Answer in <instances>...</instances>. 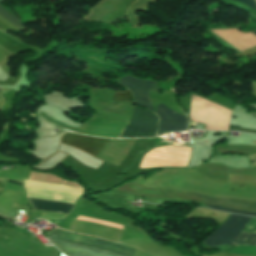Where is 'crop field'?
Wrapping results in <instances>:
<instances>
[{"mask_svg":"<svg viewBox=\"0 0 256 256\" xmlns=\"http://www.w3.org/2000/svg\"><path fill=\"white\" fill-rule=\"evenodd\" d=\"M51 240L72 256H133L134 249L105 240L54 231Z\"/></svg>","mask_w":256,"mask_h":256,"instance_id":"8a807250","label":"crop field"},{"mask_svg":"<svg viewBox=\"0 0 256 256\" xmlns=\"http://www.w3.org/2000/svg\"><path fill=\"white\" fill-rule=\"evenodd\" d=\"M231 111L192 95L190 120L206 124L208 130H228Z\"/></svg>","mask_w":256,"mask_h":256,"instance_id":"ac0d7876","label":"crop field"},{"mask_svg":"<svg viewBox=\"0 0 256 256\" xmlns=\"http://www.w3.org/2000/svg\"><path fill=\"white\" fill-rule=\"evenodd\" d=\"M157 121V116L152 112L135 105L131 121L119 138L155 136Z\"/></svg>","mask_w":256,"mask_h":256,"instance_id":"34b2d1b8","label":"crop field"},{"mask_svg":"<svg viewBox=\"0 0 256 256\" xmlns=\"http://www.w3.org/2000/svg\"><path fill=\"white\" fill-rule=\"evenodd\" d=\"M251 217L231 214L230 218L204 242L210 246L236 244L237 236Z\"/></svg>","mask_w":256,"mask_h":256,"instance_id":"412701ff","label":"crop field"},{"mask_svg":"<svg viewBox=\"0 0 256 256\" xmlns=\"http://www.w3.org/2000/svg\"><path fill=\"white\" fill-rule=\"evenodd\" d=\"M156 115L159 116L157 135L161 136L174 131H186V116H181L163 104L156 106Z\"/></svg>","mask_w":256,"mask_h":256,"instance_id":"f4fd0767","label":"crop field"},{"mask_svg":"<svg viewBox=\"0 0 256 256\" xmlns=\"http://www.w3.org/2000/svg\"><path fill=\"white\" fill-rule=\"evenodd\" d=\"M120 84L129 88L134 96L135 103L154 111L149 98V90H157L155 81L126 76L120 78Z\"/></svg>","mask_w":256,"mask_h":256,"instance_id":"dd49c442","label":"crop field"},{"mask_svg":"<svg viewBox=\"0 0 256 256\" xmlns=\"http://www.w3.org/2000/svg\"><path fill=\"white\" fill-rule=\"evenodd\" d=\"M109 139L87 137L79 134L67 133L61 138L62 143L69 144L94 157L100 152Z\"/></svg>","mask_w":256,"mask_h":256,"instance_id":"e52e79f7","label":"crop field"},{"mask_svg":"<svg viewBox=\"0 0 256 256\" xmlns=\"http://www.w3.org/2000/svg\"><path fill=\"white\" fill-rule=\"evenodd\" d=\"M219 37L237 48L240 52L256 45V32L241 33L235 29H217L211 30Z\"/></svg>","mask_w":256,"mask_h":256,"instance_id":"d8731c3e","label":"crop field"},{"mask_svg":"<svg viewBox=\"0 0 256 256\" xmlns=\"http://www.w3.org/2000/svg\"><path fill=\"white\" fill-rule=\"evenodd\" d=\"M186 193L189 195L205 198L204 202L208 203V204L256 212V202L255 201L240 200V199L214 198V197L205 196L202 194H197V193H192V192H186Z\"/></svg>","mask_w":256,"mask_h":256,"instance_id":"5a996713","label":"crop field"},{"mask_svg":"<svg viewBox=\"0 0 256 256\" xmlns=\"http://www.w3.org/2000/svg\"><path fill=\"white\" fill-rule=\"evenodd\" d=\"M20 192L3 191L0 195V214L13 219L17 216L18 211L10 210L13 202L20 196Z\"/></svg>","mask_w":256,"mask_h":256,"instance_id":"3316defc","label":"crop field"},{"mask_svg":"<svg viewBox=\"0 0 256 256\" xmlns=\"http://www.w3.org/2000/svg\"><path fill=\"white\" fill-rule=\"evenodd\" d=\"M28 200L34 209L65 212V213H69L73 205L70 203L54 202V201L31 199V198H28Z\"/></svg>","mask_w":256,"mask_h":256,"instance_id":"28ad6ade","label":"crop field"},{"mask_svg":"<svg viewBox=\"0 0 256 256\" xmlns=\"http://www.w3.org/2000/svg\"><path fill=\"white\" fill-rule=\"evenodd\" d=\"M134 1L135 0H120L108 14L96 21L113 22L118 18H123L127 8Z\"/></svg>","mask_w":256,"mask_h":256,"instance_id":"d1516ede","label":"crop field"},{"mask_svg":"<svg viewBox=\"0 0 256 256\" xmlns=\"http://www.w3.org/2000/svg\"><path fill=\"white\" fill-rule=\"evenodd\" d=\"M0 16L2 18H4L5 20H7L8 22H10L12 25H14L15 27L21 29L24 28L23 25L20 23V21L18 19H16L14 16H12L11 14H9L8 12H6L4 9H2L0 7Z\"/></svg>","mask_w":256,"mask_h":256,"instance_id":"22f410ed","label":"crop field"},{"mask_svg":"<svg viewBox=\"0 0 256 256\" xmlns=\"http://www.w3.org/2000/svg\"><path fill=\"white\" fill-rule=\"evenodd\" d=\"M237 245H252L256 246V235H240Z\"/></svg>","mask_w":256,"mask_h":256,"instance_id":"cbeb9de0","label":"crop field"},{"mask_svg":"<svg viewBox=\"0 0 256 256\" xmlns=\"http://www.w3.org/2000/svg\"><path fill=\"white\" fill-rule=\"evenodd\" d=\"M112 101L131 102L133 101L132 94L130 93V91L115 92Z\"/></svg>","mask_w":256,"mask_h":256,"instance_id":"5142ce71","label":"crop field"},{"mask_svg":"<svg viewBox=\"0 0 256 256\" xmlns=\"http://www.w3.org/2000/svg\"><path fill=\"white\" fill-rule=\"evenodd\" d=\"M206 206H208L209 208H212V209L223 210V211L239 213V214H245V215H250V216H256V213H254V212H247V211H241V210H235V209H229V208H223V207H217V206H211V205H206Z\"/></svg>","mask_w":256,"mask_h":256,"instance_id":"d9b57169","label":"crop field"},{"mask_svg":"<svg viewBox=\"0 0 256 256\" xmlns=\"http://www.w3.org/2000/svg\"><path fill=\"white\" fill-rule=\"evenodd\" d=\"M236 1L247 4V5L251 6L253 9L256 10V4H255L254 0H236Z\"/></svg>","mask_w":256,"mask_h":256,"instance_id":"733c2abd","label":"crop field"},{"mask_svg":"<svg viewBox=\"0 0 256 256\" xmlns=\"http://www.w3.org/2000/svg\"><path fill=\"white\" fill-rule=\"evenodd\" d=\"M229 131H242V132H248V133H256V131H252V130H244V129H237V128H231V127H229Z\"/></svg>","mask_w":256,"mask_h":256,"instance_id":"4a817a6b","label":"crop field"},{"mask_svg":"<svg viewBox=\"0 0 256 256\" xmlns=\"http://www.w3.org/2000/svg\"><path fill=\"white\" fill-rule=\"evenodd\" d=\"M3 191V182H0V192Z\"/></svg>","mask_w":256,"mask_h":256,"instance_id":"bc2a9ffb","label":"crop field"},{"mask_svg":"<svg viewBox=\"0 0 256 256\" xmlns=\"http://www.w3.org/2000/svg\"><path fill=\"white\" fill-rule=\"evenodd\" d=\"M3 56L0 55V60L2 59Z\"/></svg>","mask_w":256,"mask_h":256,"instance_id":"214f88e0","label":"crop field"},{"mask_svg":"<svg viewBox=\"0 0 256 256\" xmlns=\"http://www.w3.org/2000/svg\"><path fill=\"white\" fill-rule=\"evenodd\" d=\"M0 1H2V0H0Z\"/></svg>","mask_w":256,"mask_h":256,"instance_id":"92a150f3","label":"crop field"}]
</instances>
